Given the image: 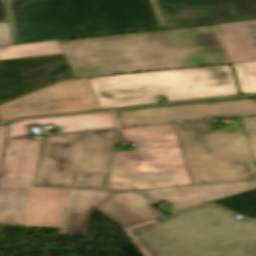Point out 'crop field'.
Listing matches in <instances>:
<instances>
[{"mask_svg": "<svg viewBox=\"0 0 256 256\" xmlns=\"http://www.w3.org/2000/svg\"><path fill=\"white\" fill-rule=\"evenodd\" d=\"M59 43L75 78L229 63L216 25Z\"/></svg>", "mask_w": 256, "mask_h": 256, "instance_id": "8a807250", "label": "crop field"}, {"mask_svg": "<svg viewBox=\"0 0 256 256\" xmlns=\"http://www.w3.org/2000/svg\"><path fill=\"white\" fill-rule=\"evenodd\" d=\"M43 140L5 139L0 161V225L59 227L87 236L93 208L114 192L33 186Z\"/></svg>", "mask_w": 256, "mask_h": 256, "instance_id": "ac0d7876", "label": "crop field"}, {"mask_svg": "<svg viewBox=\"0 0 256 256\" xmlns=\"http://www.w3.org/2000/svg\"><path fill=\"white\" fill-rule=\"evenodd\" d=\"M15 44L161 29L151 0H9Z\"/></svg>", "mask_w": 256, "mask_h": 256, "instance_id": "34b2d1b8", "label": "crop field"}, {"mask_svg": "<svg viewBox=\"0 0 256 256\" xmlns=\"http://www.w3.org/2000/svg\"><path fill=\"white\" fill-rule=\"evenodd\" d=\"M123 230L144 256H256V221L213 204Z\"/></svg>", "mask_w": 256, "mask_h": 256, "instance_id": "412701ff", "label": "crop field"}, {"mask_svg": "<svg viewBox=\"0 0 256 256\" xmlns=\"http://www.w3.org/2000/svg\"><path fill=\"white\" fill-rule=\"evenodd\" d=\"M101 109L238 94L229 65L87 78Z\"/></svg>", "mask_w": 256, "mask_h": 256, "instance_id": "f4fd0767", "label": "crop field"}, {"mask_svg": "<svg viewBox=\"0 0 256 256\" xmlns=\"http://www.w3.org/2000/svg\"><path fill=\"white\" fill-rule=\"evenodd\" d=\"M117 141L136 148L114 153L107 189L193 185L172 124L120 129Z\"/></svg>", "mask_w": 256, "mask_h": 256, "instance_id": "dd49c442", "label": "crop field"}, {"mask_svg": "<svg viewBox=\"0 0 256 256\" xmlns=\"http://www.w3.org/2000/svg\"><path fill=\"white\" fill-rule=\"evenodd\" d=\"M116 132L45 136L34 185L103 189Z\"/></svg>", "mask_w": 256, "mask_h": 256, "instance_id": "e52e79f7", "label": "crop field"}, {"mask_svg": "<svg viewBox=\"0 0 256 256\" xmlns=\"http://www.w3.org/2000/svg\"><path fill=\"white\" fill-rule=\"evenodd\" d=\"M173 125L194 185L256 179L243 128L210 131L208 121Z\"/></svg>", "mask_w": 256, "mask_h": 256, "instance_id": "d8731c3e", "label": "crop field"}, {"mask_svg": "<svg viewBox=\"0 0 256 256\" xmlns=\"http://www.w3.org/2000/svg\"><path fill=\"white\" fill-rule=\"evenodd\" d=\"M100 109L86 78L59 81L0 105L4 121L13 118Z\"/></svg>", "mask_w": 256, "mask_h": 256, "instance_id": "5a996713", "label": "crop field"}, {"mask_svg": "<svg viewBox=\"0 0 256 256\" xmlns=\"http://www.w3.org/2000/svg\"><path fill=\"white\" fill-rule=\"evenodd\" d=\"M165 28L256 18V0H153Z\"/></svg>", "mask_w": 256, "mask_h": 256, "instance_id": "3316defc", "label": "crop field"}, {"mask_svg": "<svg viewBox=\"0 0 256 256\" xmlns=\"http://www.w3.org/2000/svg\"><path fill=\"white\" fill-rule=\"evenodd\" d=\"M67 78L63 54L0 61V103Z\"/></svg>", "mask_w": 256, "mask_h": 256, "instance_id": "28ad6ade", "label": "crop field"}, {"mask_svg": "<svg viewBox=\"0 0 256 256\" xmlns=\"http://www.w3.org/2000/svg\"><path fill=\"white\" fill-rule=\"evenodd\" d=\"M120 126L256 114L251 99L115 112Z\"/></svg>", "mask_w": 256, "mask_h": 256, "instance_id": "d1516ede", "label": "crop field"}, {"mask_svg": "<svg viewBox=\"0 0 256 256\" xmlns=\"http://www.w3.org/2000/svg\"><path fill=\"white\" fill-rule=\"evenodd\" d=\"M256 188V180L142 190L155 201H167L172 211L206 203Z\"/></svg>", "mask_w": 256, "mask_h": 256, "instance_id": "22f410ed", "label": "crop field"}, {"mask_svg": "<svg viewBox=\"0 0 256 256\" xmlns=\"http://www.w3.org/2000/svg\"><path fill=\"white\" fill-rule=\"evenodd\" d=\"M150 198L141 192L117 193L97 210L120 228L164 216L154 208Z\"/></svg>", "mask_w": 256, "mask_h": 256, "instance_id": "cbeb9de0", "label": "crop field"}, {"mask_svg": "<svg viewBox=\"0 0 256 256\" xmlns=\"http://www.w3.org/2000/svg\"><path fill=\"white\" fill-rule=\"evenodd\" d=\"M57 126L60 132L116 127L112 112L19 121L8 124L5 138L32 135L29 127Z\"/></svg>", "mask_w": 256, "mask_h": 256, "instance_id": "5142ce71", "label": "crop field"}, {"mask_svg": "<svg viewBox=\"0 0 256 256\" xmlns=\"http://www.w3.org/2000/svg\"><path fill=\"white\" fill-rule=\"evenodd\" d=\"M218 26L231 63L256 61V21Z\"/></svg>", "mask_w": 256, "mask_h": 256, "instance_id": "d9b57169", "label": "crop field"}, {"mask_svg": "<svg viewBox=\"0 0 256 256\" xmlns=\"http://www.w3.org/2000/svg\"><path fill=\"white\" fill-rule=\"evenodd\" d=\"M63 53L58 40L11 45L0 48V60Z\"/></svg>", "mask_w": 256, "mask_h": 256, "instance_id": "733c2abd", "label": "crop field"}, {"mask_svg": "<svg viewBox=\"0 0 256 256\" xmlns=\"http://www.w3.org/2000/svg\"><path fill=\"white\" fill-rule=\"evenodd\" d=\"M250 219H256V190L214 202Z\"/></svg>", "mask_w": 256, "mask_h": 256, "instance_id": "4a817a6b", "label": "crop field"}, {"mask_svg": "<svg viewBox=\"0 0 256 256\" xmlns=\"http://www.w3.org/2000/svg\"><path fill=\"white\" fill-rule=\"evenodd\" d=\"M241 93H256V62L231 64Z\"/></svg>", "mask_w": 256, "mask_h": 256, "instance_id": "bc2a9ffb", "label": "crop field"}, {"mask_svg": "<svg viewBox=\"0 0 256 256\" xmlns=\"http://www.w3.org/2000/svg\"><path fill=\"white\" fill-rule=\"evenodd\" d=\"M240 119L244 125V131L256 162V117H246Z\"/></svg>", "mask_w": 256, "mask_h": 256, "instance_id": "214f88e0", "label": "crop field"}, {"mask_svg": "<svg viewBox=\"0 0 256 256\" xmlns=\"http://www.w3.org/2000/svg\"><path fill=\"white\" fill-rule=\"evenodd\" d=\"M11 43L9 23H0V46Z\"/></svg>", "mask_w": 256, "mask_h": 256, "instance_id": "92a150f3", "label": "crop field"}, {"mask_svg": "<svg viewBox=\"0 0 256 256\" xmlns=\"http://www.w3.org/2000/svg\"><path fill=\"white\" fill-rule=\"evenodd\" d=\"M0 22H8L5 0H0Z\"/></svg>", "mask_w": 256, "mask_h": 256, "instance_id": "dafd665d", "label": "crop field"}, {"mask_svg": "<svg viewBox=\"0 0 256 256\" xmlns=\"http://www.w3.org/2000/svg\"><path fill=\"white\" fill-rule=\"evenodd\" d=\"M244 98H251L250 96L246 97H236V98H227V99H217V100H207V101H198V102H188V103H180V104H172V105H181V104H192V103H202V102H213V101H223V100H234V99H244ZM170 106V105H165ZM160 107V106H157ZM150 108V107H149Z\"/></svg>", "mask_w": 256, "mask_h": 256, "instance_id": "00972430", "label": "crop field"}, {"mask_svg": "<svg viewBox=\"0 0 256 256\" xmlns=\"http://www.w3.org/2000/svg\"><path fill=\"white\" fill-rule=\"evenodd\" d=\"M7 124L0 126V156H1V151H2V146H3V141H4V136L6 132Z\"/></svg>", "mask_w": 256, "mask_h": 256, "instance_id": "a9b5d70f", "label": "crop field"}]
</instances>
